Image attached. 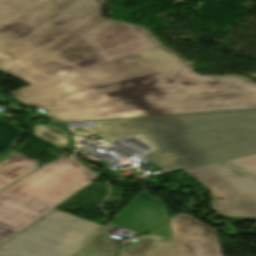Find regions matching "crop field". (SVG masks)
<instances>
[{
  "mask_svg": "<svg viewBox=\"0 0 256 256\" xmlns=\"http://www.w3.org/2000/svg\"><path fill=\"white\" fill-rule=\"evenodd\" d=\"M35 135L62 148H68L67 133L59 128L49 125L35 127Z\"/></svg>",
  "mask_w": 256,
  "mask_h": 256,
  "instance_id": "crop-field-13",
  "label": "crop field"
},
{
  "mask_svg": "<svg viewBox=\"0 0 256 256\" xmlns=\"http://www.w3.org/2000/svg\"><path fill=\"white\" fill-rule=\"evenodd\" d=\"M106 0H0V71L30 86L12 92L46 107L73 91L187 63L159 45L108 61L91 36L113 22Z\"/></svg>",
  "mask_w": 256,
  "mask_h": 256,
  "instance_id": "crop-field-1",
  "label": "crop field"
},
{
  "mask_svg": "<svg viewBox=\"0 0 256 256\" xmlns=\"http://www.w3.org/2000/svg\"><path fill=\"white\" fill-rule=\"evenodd\" d=\"M16 232L0 227V243L14 235Z\"/></svg>",
  "mask_w": 256,
  "mask_h": 256,
  "instance_id": "crop-field-16",
  "label": "crop field"
},
{
  "mask_svg": "<svg viewBox=\"0 0 256 256\" xmlns=\"http://www.w3.org/2000/svg\"><path fill=\"white\" fill-rule=\"evenodd\" d=\"M168 220L164 201L142 191L111 224L140 233Z\"/></svg>",
  "mask_w": 256,
  "mask_h": 256,
  "instance_id": "crop-field-9",
  "label": "crop field"
},
{
  "mask_svg": "<svg viewBox=\"0 0 256 256\" xmlns=\"http://www.w3.org/2000/svg\"><path fill=\"white\" fill-rule=\"evenodd\" d=\"M26 132L14 127L10 123L0 119V153L14 147L16 142Z\"/></svg>",
  "mask_w": 256,
  "mask_h": 256,
  "instance_id": "crop-field-14",
  "label": "crop field"
},
{
  "mask_svg": "<svg viewBox=\"0 0 256 256\" xmlns=\"http://www.w3.org/2000/svg\"><path fill=\"white\" fill-rule=\"evenodd\" d=\"M179 256H223L217 231L188 215L171 219Z\"/></svg>",
  "mask_w": 256,
  "mask_h": 256,
  "instance_id": "crop-field-7",
  "label": "crop field"
},
{
  "mask_svg": "<svg viewBox=\"0 0 256 256\" xmlns=\"http://www.w3.org/2000/svg\"><path fill=\"white\" fill-rule=\"evenodd\" d=\"M77 127L106 141L132 138L151 148L140 155L168 171L256 152V109L95 121Z\"/></svg>",
  "mask_w": 256,
  "mask_h": 256,
  "instance_id": "crop-field-3",
  "label": "crop field"
},
{
  "mask_svg": "<svg viewBox=\"0 0 256 256\" xmlns=\"http://www.w3.org/2000/svg\"><path fill=\"white\" fill-rule=\"evenodd\" d=\"M113 228L108 225L77 256H116L119 240L107 234Z\"/></svg>",
  "mask_w": 256,
  "mask_h": 256,
  "instance_id": "crop-field-12",
  "label": "crop field"
},
{
  "mask_svg": "<svg viewBox=\"0 0 256 256\" xmlns=\"http://www.w3.org/2000/svg\"><path fill=\"white\" fill-rule=\"evenodd\" d=\"M39 167V163L14 151L0 157V190Z\"/></svg>",
  "mask_w": 256,
  "mask_h": 256,
  "instance_id": "crop-field-11",
  "label": "crop field"
},
{
  "mask_svg": "<svg viewBox=\"0 0 256 256\" xmlns=\"http://www.w3.org/2000/svg\"><path fill=\"white\" fill-rule=\"evenodd\" d=\"M57 123L256 108V84L190 64L76 92L47 107Z\"/></svg>",
  "mask_w": 256,
  "mask_h": 256,
  "instance_id": "crop-field-2",
  "label": "crop field"
},
{
  "mask_svg": "<svg viewBox=\"0 0 256 256\" xmlns=\"http://www.w3.org/2000/svg\"><path fill=\"white\" fill-rule=\"evenodd\" d=\"M96 179L74 160L47 165L0 192V226L18 232Z\"/></svg>",
  "mask_w": 256,
  "mask_h": 256,
  "instance_id": "crop-field-4",
  "label": "crop field"
},
{
  "mask_svg": "<svg viewBox=\"0 0 256 256\" xmlns=\"http://www.w3.org/2000/svg\"><path fill=\"white\" fill-rule=\"evenodd\" d=\"M226 162L248 174L256 175V154L227 160Z\"/></svg>",
  "mask_w": 256,
  "mask_h": 256,
  "instance_id": "crop-field-15",
  "label": "crop field"
},
{
  "mask_svg": "<svg viewBox=\"0 0 256 256\" xmlns=\"http://www.w3.org/2000/svg\"><path fill=\"white\" fill-rule=\"evenodd\" d=\"M166 237V242L161 241ZM121 256H177L171 227L164 224L152 231L150 239L139 238L133 249H122Z\"/></svg>",
  "mask_w": 256,
  "mask_h": 256,
  "instance_id": "crop-field-10",
  "label": "crop field"
},
{
  "mask_svg": "<svg viewBox=\"0 0 256 256\" xmlns=\"http://www.w3.org/2000/svg\"><path fill=\"white\" fill-rule=\"evenodd\" d=\"M61 125H66V126H68L67 123H64V124H61Z\"/></svg>",
  "mask_w": 256,
  "mask_h": 256,
  "instance_id": "crop-field-18",
  "label": "crop field"
},
{
  "mask_svg": "<svg viewBox=\"0 0 256 256\" xmlns=\"http://www.w3.org/2000/svg\"><path fill=\"white\" fill-rule=\"evenodd\" d=\"M91 38L108 60L159 45L145 29L118 21Z\"/></svg>",
  "mask_w": 256,
  "mask_h": 256,
  "instance_id": "crop-field-8",
  "label": "crop field"
},
{
  "mask_svg": "<svg viewBox=\"0 0 256 256\" xmlns=\"http://www.w3.org/2000/svg\"><path fill=\"white\" fill-rule=\"evenodd\" d=\"M73 133H75L77 136H85V135H89L88 133L79 131V130H75V129H71L69 128Z\"/></svg>",
  "mask_w": 256,
  "mask_h": 256,
  "instance_id": "crop-field-17",
  "label": "crop field"
},
{
  "mask_svg": "<svg viewBox=\"0 0 256 256\" xmlns=\"http://www.w3.org/2000/svg\"><path fill=\"white\" fill-rule=\"evenodd\" d=\"M212 191L217 214L237 223L256 220V177L227 163L185 170Z\"/></svg>",
  "mask_w": 256,
  "mask_h": 256,
  "instance_id": "crop-field-6",
  "label": "crop field"
},
{
  "mask_svg": "<svg viewBox=\"0 0 256 256\" xmlns=\"http://www.w3.org/2000/svg\"><path fill=\"white\" fill-rule=\"evenodd\" d=\"M104 228L53 209L0 244V256H76Z\"/></svg>",
  "mask_w": 256,
  "mask_h": 256,
  "instance_id": "crop-field-5",
  "label": "crop field"
}]
</instances>
